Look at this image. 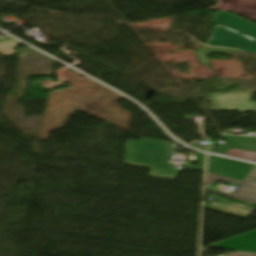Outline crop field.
Wrapping results in <instances>:
<instances>
[{"mask_svg": "<svg viewBox=\"0 0 256 256\" xmlns=\"http://www.w3.org/2000/svg\"><path fill=\"white\" fill-rule=\"evenodd\" d=\"M212 21L217 25L256 40V25L254 24L223 12H217Z\"/></svg>", "mask_w": 256, "mask_h": 256, "instance_id": "f4fd0767", "label": "crop field"}, {"mask_svg": "<svg viewBox=\"0 0 256 256\" xmlns=\"http://www.w3.org/2000/svg\"><path fill=\"white\" fill-rule=\"evenodd\" d=\"M215 10L234 11L237 15L256 20V0H219Z\"/></svg>", "mask_w": 256, "mask_h": 256, "instance_id": "dd49c442", "label": "crop field"}, {"mask_svg": "<svg viewBox=\"0 0 256 256\" xmlns=\"http://www.w3.org/2000/svg\"><path fill=\"white\" fill-rule=\"evenodd\" d=\"M205 155L198 153L197 167L185 165L183 170L203 171Z\"/></svg>", "mask_w": 256, "mask_h": 256, "instance_id": "3316defc", "label": "crop field"}, {"mask_svg": "<svg viewBox=\"0 0 256 256\" xmlns=\"http://www.w3.org/2000/svg\"><path fill=\"white\" fill-rule=\"evenodd\" d=\"M226 155L236 157V158L256 161V153H254V152L229 149V151L226 153Z\"/></svg>", "mask_w": 256, "mask_h": 256, "instance_id": "5a996713", "label": "crop field"}, {"mask_svg": "<svg viewBox=\"0 0 256 256\" xmlns=\"http://www.w3.org/2000/svg\"><path fill=\"white\" fill-rule=\"evenodd\" d=\"M217 179L241 185L231 194L205 188L206 191L256 203V166L243 182L207 173L206 183L212 185Z\"/></svg>", "mask_w": 256, "mask_h": 256, "instance_id": "ac0d7876", "label": "crop field"}, {"mask_svg": "<svg viewBox=\"0 0 256 256\" xmlns=\"http://www.w3.org/2000/svg\"><path fill=\"white\" fill-rule=\"evenodd\" d=\"M223 256H256V253L237 251Z\"/></svg>", "mask_w": 256, "mask_h": 256, "instance_id": "28ad6ade", "label": "crop field"}, {"mask_svg": "<svg viewBox=\"0 0 256 256\" xmlns=\"http://www.w3.org/2000/svg\"><path fill=\"white\" fill-rule=\"evenodd\" d=\"M175 144L141 138L128 141L124 164L151 168L147 176L175 180L181 170L169 163Z\"/></svg>", "mask_w": 256, "mask_h": 256, "instance_id": "8a807250", "label": "crop field"}, {"mask_svg": "<svg viewBox=\"0 0 256 256\" xmlns=\"http://www.w3.org/2000/svg\"><path fill=\"white\" fill-rule=\"evenodd\" d=\"M213 245L219 249L256 252V230Z\"/></svg>", "mask_w": 256, "mask_h": 256, "instance_id": "e52e79f7", "label": "crop field"}, {"mask_svg": "<svg viewBox=\"0 0 256 256\" xmlns=\"http://www.w3.org/2000/svg\"><path fill=\"white\" fill-rule=\"evenodd\" d=\"M206 45L236 48L244 52H256V41L216 26Z\"/></svg>", "mask_w": 256, "mask_h": 256, "instance_id": "34b2d1b8", "label": "crop field"}, {"mask_svg": "<svg viewBox=\"0 0 256 256\" xmlns=\"http://www.w3.org/2000/svg\"><path fill=\"white\" fill-rule=\"evenodd\" d=\"M254 166L209 155L207 172L243 181Z\"/></svg>", "mask_w": 256, "mask_h": 256, "instance_id": "412701ff", "label": "crop field"}, {"mask_svg": "<svg viewBox=\"0 0 256 256\" xmlns=\"http://www.w3.org/2000/svg\"><path fill=\"white\" fill-rule=\"evenodd\" d=\"M235 51H237V50H230V49L203 46L202 48H200L198 50V52L196 54L198 55V57L200 58V60L204 64V66H208V65H210V63L208 62V60L206 58L207 54L212 53V52H221V53L231 54Z\"/></svg>", "mask_w": 256, "mask_h": 256, "instance_id": "d8731c3e", "label": "crop field"}]
</instances>
